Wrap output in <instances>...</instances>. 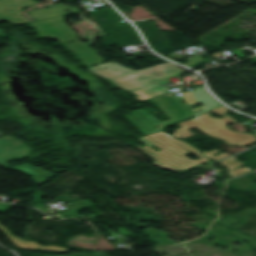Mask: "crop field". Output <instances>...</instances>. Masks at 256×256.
Returning <instances> with one entry per match:
<instances>
[{"mask_svg":"<svg viewBox=\"0 0 256 256\" xmlns=\"http://www.w3.org/2000/svg\"><path fill=\"white\" fill-rule=\"evenodd\" d=\"M7 141H9V143H7ZM21 145H23L24 147L0 154V165L4 166L5 168L20 170L28 175H32V179L37 185L42 184L45 178L53 174L33 164L24 163L12 168H10L5 164L6 161L8 160L27 154L29 152V148L10 136H5L0 138V152L6 151Z\"/></svg>","mask_w":256,"mask_h":256,"instance_id":"3","label":"crop field"},{"mask_svg":"<svg viewBox=\"0 0 256 256\" xmlns=\"http://www.w3.org/2000/svg\"><path fill=\"white\" fill-rule=\"evenodd\" d=\"M151 100L159 104V109L172 119L164 122L166 125L185 119L192 114V109L190 107L182 103L177 97L169 92L151 98Z\"/></svg>","mask_w":256,"mask_h":256,"instance_id":"5","label":"crop field"},{"mask_svg":"<svg viewBox=\"0 0 256 256\" xmlns=\"http://www.w3.org/2000/svg\"><path fill=\"white\" fill-rule=\"evenodd\" d=\"M3 34H4V32H1V31H0V36H3Z\"/></svg>","mask_w":256,"mask_h":256,"instance_id":"7","label":"crop field"},{"mask_svg":"<svg viewBox=\"0 0 256 256\" xmlns=\"http://www.w3.org/2000/svg\"><path fill=\"white\" fill-rule=\"evenodd\" d=\"M9 207L6 203H0V211H6Z\"/></svg>","mask_w":256,"mask_h":256,"instance_id":"6","label":"crop field"},{"mask_svg":"<svg viewBox=\"0 0 256 256\" xmlns=\"http://www.w3.org/2000/svg\"><path fill=\"white\" fill-rule=\"evenodd\" d=\"M109 66V69L101 70L102 67ZM116 69L112 71V69ZM90 70L102 77L110 79L113 83L122 89L136 93L164 82L165 79L185 73L177 66L167 62L138 71L130 70L118 63H107Z\"/></svg>","mask_w":256,"mask_h":256,"instance_id":"1","label":"crop field"},{"mask_svg":"<svg viewBox=\"0 0 256 256\" xmlns=\"http://www.w3.org/2000/svg\"><path fill=\"white\" fill-rule=\"evenodd\" d=\"M154 140H152L151 138ZM145 137L138 138L140 141L145 143L146 145L140 147L138 145H134V147L138 148L139 150L143 151L144 153L148 154L149 156L155 158L156 160L160 161L159 163L153 160L152 162L158 166L162 167L174 172H179L196 164L209 161L208 159L204 158L200 155V152L193 148L191 145L187 144L186 142L177 141L167 135L165 132L161 131L158 133H154ZM182 149L190 152L195 153V156L200 158L201 160H191L188 157L184 156L183 154L177 152L176 150L186 154L187 152L183 151ZM175 152L176 154L180 155L181 157L172 153ZM179 161L183 162L184 164L180 163ZM190 163H188V162ZM171 165H169V164ZM180 165L181 167H179ZM171 166L177 168L178 170L172 168Z\"/></svg>","mask_w":256,"mask_h":256,"instance_id":"2","label":"crop field"},{"mask_svg":"<svg viewBox=\"0 0 256 256\" xmlns=\"http://www.w3.org/2000/svg\"><path fill=\"white\" fill-rule=\"evenodd\" d=\"M34 4V1L30 0H0V21L6 20L14 23H31L26 18H24L20 11L22 7ZM65 9H71L70 12H75L76 10L72 8H66L63 6L32 11L29 12L32 18L37 20L39 19H47L55 16L62 15L66 12H63Z\"/></svg>","mask_w":256,"mask_h":256,"instance_id":"4","label":"crop field"},{"mask_svg":"<svg viewBox=\"0 0 256 256\" xmlns=\"http://www.w3.org/2000/svg\"><path fill=\"white\" fill-rule=\"evenodd\" d=\"M1 135V134H0Z\"/></svg>","mask_w":256,"mask_h":256,"instance_id":"8","label":"crop field"}]
</instances>
